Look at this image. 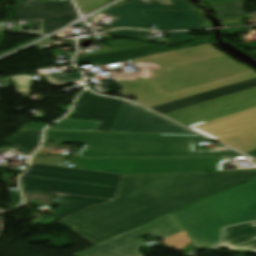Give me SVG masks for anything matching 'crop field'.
<instances>
[{"label":"crop field","mask_w":256,"mask_h":256,"mask_svg":"<svg viewBox=\"0 0 256 256\" xmlns=\"http://www.w3.org/2000/svg\"><path fill=\"white\" fill-rule=\"evenodd\" d=\"M256 177V171L123 176L115 199L60 223L96 245Z\"/></svg>","instance_id":"8a807250"},{"label":"crop field","mask_w":256,"mask_h":256,"mask_svg":"<svg viewBox=\"0 0 256 256\" xmlns=\"http://www.w3.org/2000/svg\"><path fill=\"white\" fill-rule=\"evenodd\" d=\"M45 140L86 144L79 153L86 158L241 155L235 151L193 152L192 141L209 140L203 136L46 131Z\"/></svg>","instance_id":"ac0d7876"},{"label":"crop field","mask_w":256,"mask_h":256,"mask_svg":"<svg viewBox=\"0 0 256 256\" xmlns=\"http://www.w3.org/2000/svg\"><path fill=\"white\" fill-rule=\"evenodd\" d=\"M197 249L220 241L224 226L256 220V178L172 213Z\"/></svg>","instance_id":"34b2d1b8"},{"label":"crop field","mask_w":256,"mask_h":256,"mask_svg":"<svg viewBox=\"0 0 256 256\" xmlns=\"http://www.w3.org/2000/svg\"><path fill=\"white\" fill-rule=\"evenodd\" d=\"M122 176L32 163L20 177L23 190L114 199Z\"/></svg>","instance_id":"412701ff"},{"label":"crop field","mask_w":256,"mask_h":256,"mask_svg":"<svg viewBox=\"0 0 256 256\" xmlns=\"http://www.w3.org/2000/svg\"><path fill=\"white\" fill-rule=\"evenodd\" d=\"M223 157L167 159H83L72 158L68 163L80 169L120 174H155L215 171Z\"/></svg>","instance_id":"f4fd0767"},{"label":"crop field","mask_w":256,"mask_h":256,"mask_svg":"<svg viewBox=\"0 0 256 256\" xmlns=\"http://www.w3.org/2000/svg\"><path fill=\"white\" fill-rule=\"evenodd\" d=\"M163 239V244L182 251L191 242L171 214L104 241L73 256H142L138 252L145 236Z\"/></svg>","instance_id":"dd49c442"},{"label":"crop field","mask_w":256,"mask_h":256,"mask_svg":"<svg viewBox=\"0 0 256 256\" xmlns=\"http://www.w3.org/2000/svg\"><path fill=\"white\" fill-rule=\"evenodd\" d=\"M191 128L243 153L256 148V108Z\"/></svg>","instance_id":"e52e79f7"},{"label":"crop field","mask_w":256,"mask_h":256,"mask_svg":"<svg viewBox=\"0 0 256 256\" xmlns=\"http://www.w3.org/2000/svg\"><path fill=\"white\" fill-rule=\"evenodd\" d=\"M253 107H256V88L165 115L191 127Z\"/></svg>","instance_id":"d8731c3e"},{"label":"crop field","mask_w":256,"mask_h":256,"mask_svg":"<svg viewBox=\"0 0 256 256\" xmlns=\"http://www.w3.org/2000/svg\"><path fill=\"white\" fill-rule=\"evenodd\" d=\"M112 132L197 135L126 101Z\"/></svg>","instance_id":"5a996713"},{"label":"crop field","mask_w":256,"mask_h":256,"mask_svg":"<svg viewBox=\"0 0 256 256\" xmlns=\"http://www.w3.org/2000/svg\"><path fill=\"white\" fill-rule=\"evenodd\" d=\"M123 102L98 96L85 90L80 94L72 112L66 118L100 120L96 131L111 132Z\"/></svg>","instance_id":"3316defc"},{"label":"crop field","mask_w":256,"mask_h":256,"mask_svg":"<svg viewBox=\"0 0 256 256\" xmlns=\"http://www.w3.org/2000/svg\"><path fill=\"white\" fill-rule=\"evenodd\" d=\"M141 9L195 10L191 5L182 0H132L112 10L105 11V13L119 18L109 23L113 28L135 27L151 29L148 21L140 13Z\"/></svg>","instance_id":"28ad6ade"},{"label":"crop field","mask_w":256,"mask_h":256,"mask_svg":"<svg viewBox=\"0 0 256 256\" xmlns=\"http://www.w3.org/2000/svg\"><path fill=\"white\" fill-rule=\"evenodd\" d=\"M143 13L158 30H182L208 27L200 12L147 10Z\"/></svg>","instance_id":"d1516ede"},{"label":"crop field","mask_w":256,"mask_h":256,"mask_svg":"<svg viewBox=\"0 0 256 256\" xmlns=\"http://www.w3.org/2000/svg\"><path fill=\"white\" fill-rule=\"evenodd\" d=\"M255 87H256V78L252 79V80L244 81V82H241V83H237V84H234V85H230V86H227V87H223V88H220V89H216V90H213V91H209V92H206V93H202V94H199V95H195V96H192V97H188V98H185V99H181V100H178V101H174V102H171V103H167V104H164V105H160V106L150 108V109H152L154 111H157L161 114H164V113H168V112L175 111V110H178V109H182V108H185V107H189V106H192V105H196V104H199V103H203V102H206V101H210V100H213V99H217V98H220V97H223V96H227V95H230V94H234V93H237V92H241V91H244V90L255 88Z\"/></svg>","instance_id":"22f410ed"},{"label":"crop field","mask_w":256,"mask_h":256,"mask_svg":"<svg viewBox=\"0 0 256 256\" xmlns=\"http://www.w3.org/2000/svg\"><path fill=\"white\" fill-rule=\"evenodd\" d=\"M196 41V40H195ZM210 40H198L194 42L192 45L178 47V48H167L162 47L158 45H151V46H145L140 48H134V49H128L123 51H117L112 53H106V54H100L95 56H89L84 58H78L75 59V63L77 62H85L90 64H97V65H105L109 63L119 62V61H125V60H132L136 58H141L149 55H154L162 52H167L175 49H180L184 47H189L197 44H202L209 42Z\"/></svg>","instance_id":"cbeb9de0"},{"label":"crop field","mask_w":256,"mask_h":256,"mask_svg":"<svg viewBox=\"0 0 256 256\" xmlns=\"http://www.w3.org/2000/svg\"><path fill=\"white\" fill-rule=\"evenodd\" d=\"M44 34L77 19L72 2L41 3Z\"/></svg>","instance_id":"5142ce71"},{"label":"crop field","mask_w":256,"mask_h":256,"mask_svg":"<svg viewBox=\"0 0 256 256\" xmlns=\"http://www.w3.org/2000/svg\"><path fill=\"white\" fill-rule=\"evenodd\" d=\"M225 246L231 251L247 247L256 250V222L225 229L223 242L212 250Z\"/></svg>","instance_id":"d9b57169"},{"label":"crop field","mask_w":256,"mask_h":256,"mask_svg":"<svg viewBox=\"0 0 256 256\" xmlns=\"http://www.w3.org/2000/svg\"><path fill=\"white\" fill-rule=\"evenodd\" d=\"M112 80L120 85L124 90L119 91L121 95L131 94L140 103L156 98H160L155 91L147 86L134 74L131 75H110Z\"/></svg>","instance_id":"733c2abd"},{"label":"crop field","mask_w":256,"mask_h":256,"mask_svg":"<svg viewBox=\"0 0 256 256\" xmlns=\"http://www.w3.org/2000/svg\"><path fill=\"white\" fill-rule=\"evenodd\" d=\"M8 19H42L40 0H17L15 8L7 13Z\"/></svg>","instance_id":"4a817a6b"},{"label":"crop field","mask_w":256,"mask_h":256,"mask_svg":"<svg viewBox=\"0 0 256 256\" xmlns=\"http://www.w3.org/2000/svg\"><path fill=\"white\" fill-rule=\"evenodd\" d=\"M42 131H20L8 140L18 149L31 154L40 144Z\"/></svg>","instance_id":"bc2a9ffb"},{"label":"crop field","mask_w":256,"mask_h":256,"mask_svg":"<svg viewBox=\"0 0 256 256\" xmlns=\"http://www.w3.org/2000/svg\"><path fill=\"white\" fill-rule=\"evenodd\" d=\"M100 121H76L63 119L47 130L95 131Z\"/></svg>","instance_id":"214f88e0"},{"label":"crop field","mask_w":256,"mask_h":256,"mask_svg":"<svg viewBox=\"0 0 256 256\" xmlns=\"http://www.w3.org/2000/svg\"><path fill=\"white\" fill-rule=\"evenodd\" d=\"M245 1L230 2L225 4L214 5L220 18L245 16L243 7Z\"/></svg>","instance_id":"92a150f3"},{"label":"crop field","mask_w":256,"mask_h":256,"mask_svg":"<svg viewBox=\"0 0 256 256\" xmlns=\"http://www.w3.org/2000/svg\"><path fill=\"white\" fill-rule=\"evenodd\" d=\"M58 201H59V205H76V204H103L111 200L59 194Z\"/></svg>","instance_id":"dafd665d"},{"label":"crop field","mask_w":256,"mask_h":256,"mask_svg":"<svg viewBox=\"0 0 256 256\" xmlns=\"http://www.w3.org/2000/svg\"><path fill=\"white\" fill-rule=\"evenodd\" d=\"M47 80L54 86H61L73 81H77L82 78V74L79 72L66 75L65 72L50 74L45 76Z\"/></svg>","instance_id":"00972430"},{"label":"crop field","mask_w":256,"mask_h":256,"mask_svg":"<svg viewBox=\"0 0 256 256\" xmlns=\"http://www.w3.org/2000/svg\"><path fill=\"white\" fill-rule=\"evenodd\" d=\"M12 79L19 94L24 95V97L31 95L30 88L32 86L33 80L30 75L13 76Z\"/></svg>","instance_id":"a9b5d70f"},{"label":"crop field","mask_w":256,"mask_h":256,"mask_svg":"<svg viewBox=\"0 0 256 256\" xmlns=\"http://www.w3.org/2000/svg\"><path fill=\"white\" fill-rule=\"evenodd\" d=\"M79 9L84 13H89L92 10L100 7L106 0H75Z\"/></svg>","instance_id":"4177f3b9"},{"label":"crop field","mask_w":256,"mask_h":256,"mask_svg":"<svg viewBox=\"0 0 256 256\" xmlns=\"http://www.w3.org/2000/svg\"><path fill=\"white\" fill-rule=\"evenodd\" d=\"M91 205H77V206H59L57 213L54 215L61 219H64L78 211H81Z\"/></svg>","instance_id":"730fd06b"},{"label":"crop field","mask_w":256,"mask_h":256,"mask_svg":"<svg viewBox=\"0 0 256 256\" xmlns=\"http://www.w3.org/2000/svg\"><path fill=\"white\" fill-rule=\"evenodd\" d=\"M64 160L65 158L60 157H32L31 162L62 166Z\"/></svg>","instance_id":"eef30255"},{"label":"crop field","mask_w":256,"mask_h":256,"mask_svg":"<svg viewBox=\"0 0 256 256\" xmlns=\"http://www.w3.org/2000/svg\"><path fill=\"white\" fill-rule=\"evenodd\" d=\"M168 34L173 45L180 42L191 40L188 32H174Z\"/></svg>","instance_id":"ae1a2a85"},{"label":"crop field","mask_w":256,"mask_h":256,"mask_svg":"<svg viewBox=\"0 0 256 256\" xmlns=\"http://www.w3.org/2000/svg\"><path fill=\"white\" fill-rule=\"evenodd\" d=\"M141 105L150 108V107H154L160 104H164L162 101L156 99V100H152V101H148V102H144V103H140Z\"/></svg>","instance_id":"d3111659"},{"label":"crop field","mask_w":256,"mask_h":256,"mask_svg":"<svg viewBox=\"0 0 256 256\" xmlns=\"http://www.w3.org/2000/svg\"><path fill=\"white\" fill-rule=\"evenodd\" d=\"M45 126L46 125H43V124H29V125L23 126L22 128H25V129H44Z\"/></svg>","instance_id":"750c4746"},{"label":"crop field","mask_w":256,"mask_h":256,"mask_svg":"<svg viewBox=\"0 0 256 256\" xmlns=\"http://www.w3.org/2000/svg\"><path fill=\"white\" fill-rule=\"evenodd\" d=\"M205 1L211 5H214V4L225 3L230 1H239V0H205Z\"/></svg>","instance_id":"bd1437ed"},{"label":"crop field","mask_w":256,"mask_h":256,"mask_svg":"<svg viewBox=\"0 0 256 256\" xmlns=\"http://www.w3.org/2000/svg\"><path fill=\"white\" fill-rule=\"evenodd\" d=\"M238 252H247V253H254L256 254V251L255 250H252V249H243V250H237Z\"/></svg>","instance_id":"1d83c4d3"},{"label":"crop field","mask_w":256,"mask_h":256,"mask_svg":"<svg viewBox=\"0 0 256 256\" xmlns=\"http://www.w3.org/2000/svg\"><path fill=\"white\" fill-rule=\"evenodd\" d=\"M246 154H248V155H250V156L256 158V149L253 150V151H250V152H248V153H246Z\"/></svg>","instance_id":"120bbe31"}]
</instances>
